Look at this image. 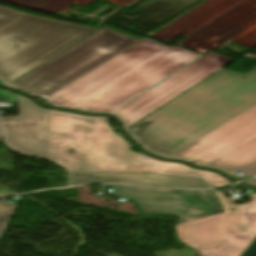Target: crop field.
<instances>
[{
	"label": "crop field",
	"instance_id": "obj_3",
	"mask_svg": "<svg viewBox=\"0 0 256 256\" xmlns=\"http://www.w3.org/2000/svg\"><path fill=\"white\" fill-rule=\"evenodd\" d=\"M49 159L66 146L81 151L75 171L162 173L203 178L209 187L229 184L224 177L186 165L158 161L130 150L108 125L109 117H91L49 110Z\"/></svg>",
	"mask_w": 256,
	"mask_h": 256
},
{
	"label": "crop field",
	"instance_id": "obj_15",
	"mask_svg": "<svg viewBox=\"0 0 256 256\" xmlns=\"http://www.w3.org/2000/svg\"><path fill=\"white\" fill-rule=\"evenodd\" d=\"M165 51L170 52V53H172L174 55H177V56L181 57L185 53H187L189 50H185V49L173 46V47H171V48H169V49H167Z\"/></svg>",
	"mask_w": 256,
	"mask_h": 256
},
{
	"label": "crop field",
	"instance_id": "obj_9",
	"mask_svg": "<svg viewBox=\"0 0 256 256\" xmlns=\"http://www.w3.org/2000/svg\"><path fill=\"white\" fill-rule=\"evenodd\" d=\"M225 213L176 225L181 242L199 251L227 244L226 235H247L243 206L230 202L220 192H216Z\"/></svg>",
	"mask_w": 256,
	"mask_h": 256
},
{
	"label": "crop field",
	"instance_id": "obj_6",
	"mask_svg": "<svg viewBox=\"0 0 256 256\" xmlns=\"http://www.w3.org/2000/svg\"><path fill=\"white\" fill-rule=\"evenodd\" d=\"M172 156L233 174L243 170L256 162V106Z\"/></svg>",
	"mask_w": 256,
	"mask_h": 256
},
{
	"label": "crop field",
	"instance_id": "obj_12",
	"mask_svg": "<svg viewBox=\"0 0 256 256\" xmlns=\"http://www.w3.org/2000/svg\"><path fill=\"white\" fill-rule=\"evenodd\" d=\"M248 236H227L223 247L202 251V256H240L256 237V212H245Z\"/></svg>",
	"mask_w": 256,
	"mask_h": 256
},
{
	"label": "crop field",
	"instance_id": "obj_10",
	"mask_svg": "<svg viewBox=\"0 0 256 256\" xmlns=\"http://www.w3.org/2000/svg\"><path fill=\"white\" fill-rule=\"evenodd\" d=\"M8 144L25 154L48 158V110L19 96L18 117L1 116Z\"/></svg>",
	"mask_w": 256,
	"mask_h": 256
},
{
	"label": "crop field",
	"instance_id": "obj_11",
	"mask_svg": "<svg viewBox=\"0 0 256 256\" xmlns=\"http://www.w3.org/2000/svg\"><path fill=\"white\" fill-rule=\"evenodd\" d=\"M72 185L85 183H134L156 186L204 188L208 187L203 179L162 175V174H130V173H71Z\"/></svg>",
	"mask_w": 256,
	"mask_h": 256
},
{
	"label": "crop field",
	"instance_id": "obj_5",
	"mask_svg": "<svg viewBox=\"0 0 256 256\" xmlns=\"http://www.w3.org/2000/svg\"><path fill=\"white\" fill-rule=\"evenodd\" d=\"M138 41L104 27L12 85L50 96Z\"/></svg>",
	"mask_w": 256,
	"mask_h": 256
},
{
	"label": "crop field",
	"instance_id": "obj_21",
	"mask_svg": "<svg viewBox=\"0 0 256 256\" xmlns=\"http://www.w3.org/2000/svg\"><path fill=\"white\" fill-rule=\"evenodd\" d=\"M0 138L4 139L1 126H0Z\"/></svg>",
	"mask_w": 256,
	"mask_h": 256
},
{
	"label": "crop field",
	"instance_id": "obj_8",
	"mask_svg": "<svg viewBox=\"0 0 256 256\" xmlns=\"http://www.w3.org/2000/svg\"><path fill=\"white\" fill-rule=\"evenodd\" d=\"M233 60L210 52L143 95L123 107L117 108L118 110L113 113L122 117L126 126H130L181 92L222 69Z\"/></svg>",
	"mask_w": 256,
	"mask_h": 256
},
{
	"label": "crop field",
	"instance_id": "obj_7",
	"mask_svg": "<svg viewBox=\"0 0 256 256\" xmlns=\"http://www.w3.org/2000/svg\"><path fill=\"white\" fill-rule=\"evenodd\" d=\"M115 197L137 200L143 211L178 214L177 223L221 213L211 190L113 185ZM176 223V224H177Z\"/></svg>",
	"mask_w": 256,
	"mask_h": 256
},
{
	"label": "crop field",
	"instance_id": "obj_1",
	"mask_svg": "<svg viewBox=\"0 0 256 256\" xmlns=\"http://www.w3.org/2000/svg\"><path fill=\"white\" fill-rule=\"evenodd\" d=\"M256 105V68L222 70L140 122L133 134L170 156Z\"/></svg>",
	"mask_w": 256,
	"mask_h": 256
},
{
	"label": "crop field",
	"instance_id": "obj_17",
	"mask_svg": "<svg viewBox=\"0 0 256 256\" xmlns=\"http://www.w3.org/2000/svg\"><path fill=\"white\" fill-rule=\"evenodd\" d=\"M252 207H244L245 211H256V194H250Z\"/></svg>",
	"mask_w": 256,
	"mask_h": 256
},
{
	"label": "crop field",
	"instance_id": "obj_14",
	"mask_svg": "<svg viewBox=\"0 0 256 256\" xmlns=\"http://www.w3.org/2000/svg\"><path fill=\"white\" fill-rule=\"evenodd\" d=\"M15 204L0 202V221L8 222Z\"/></svg>",
	"mask_w": 256,
	"mask_h": 256
},
{
	"label": "crop field",
	"instance_id": "obj_16",
	"mask_svg": "<svg viewBox=\"0 0 256 256\" xmlns=\"http://www.w3.org/2000/svg\"><path fill=\"white\" fill-rule=\"evenodd\" d=\"M240 173L244 174L243 176H248V175L256 174V163H254L253 165H251L248 168L244 169Z\"/></svg>",
	"mask_w": 256,
	"mask_h": 256
},
{
	"label": "crop field",
	"instance_id": "obj_2",
	"mask_svg": "<svg viewBox=\"0 0 256 256\" xmlns=\"http://www.w3.org/2000/svg\"><path fill=\"white\" fill-rule=\"evenodd\" d=\"M165 45L144 38L47 98L52 103L87 110L115 109L200 55L179 58Z\"/></svg>",
	"mask_w": 256,
	"mask_h": 256
},
{
	"label": "crop field",
	"instance_id": "obj_19",
	"mask_svg": "<svg viewBox=\"0 0 256 256\" xmlns=\"http://www.w3.org/2000/svg\"><path fill=\"white\" fill-rule=\"evenodd\" d=\"M0 95L10 98V101H12V102H18V96L16 95L15 97H12V94L10 92H1L0 91Z\"/></svg>",
	"mask_w": 256,
	"mask_h": 256
},
{
	"label": "crop field",
	"instance_id": "obj_18",
	"mask_svg": "<svg viewBox=\"0 0 256 256\" xmlns=\"http://www.w3.org/2000/svg\"><path fill=\"white\" fill-rule=\"evenodd\" d=\"M242 256H256V241Z\"/></svg>",
	"mask_w": 256,
	"mask_h": 256
},
{
	"label": "crop field",
	"instance_id": "obj_22",
	"mask_svg": "<svg viewBox=\"0 0 256 256\" xmlns=\"http://www.w3.org/2000/svg\"><path fill=\"white\" fill-rule=\"evenodd\" d=\"M249 184H254V185H256V180L249 182Z\"/></svg>",
	"mask_w": 256,
	"mask_h": 256
},
{
	"label": "crop field",
	"instance_id": "obj_13",
	"mask_svg": "<svg viewBox=\"0 0 256 256\" xmlns=\"http://www.w3.org/2000/svg\"><path fill=\"white\" fill-rule=\"evenodd\" d=\"M70 148L66 147L65 150L58 151L59 165L63 166L68 171H74V163L81 152L75 150L74 154H68Z\"/></svg>",
	"mask_w": 256,
	"mask_h": 256
},
{
	"label": "crop field",
	"instance_id": "obj_4",
	"mask_svg": "<svg viewBox=\"0 0 256 256\" xmlns=\"http://www.w3.org/2000/svg\"><path fill=\"white\" fill-rule=\"evenodd\" d=\"M97 31L0 6V77L11 84Z\"/></svg>",
	"mask_w": 256,
	"mask_h": 256
},
{
	"label": "crop field",
	"instance_id": "obj_20",
	"mask_svg": "<svg viewBox=\"0 0 256 256\" xmlns=\"http://www.w3.org/2000/svg\"><path fill=\"white\" fill-rule=\"evenodd\" d=\"M6 224L5 223H0V235L3 231V229L5 228Z\"/></svg>",
	"mask_w": 256,
	"mask_h": 256
}]
</instances>
